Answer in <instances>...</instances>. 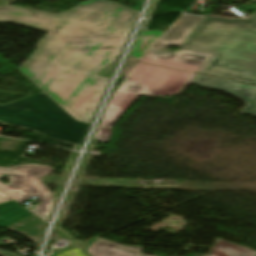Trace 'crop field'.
Masks as SVG:
<instances>
[{
	"label": "crop field",
	"mask_w": 256,
	"mask_h": 256,
	"mask_svg": "<svg viewBox=\"0 0 256 256\" xmlns=\"http://www.w3.org/2000/svg\"><path fill=\"white\" fill-rule=\"evenodd\" d=\"M138 12L107 0H89L59 14L0 7V23L48 32L18 68L62 108L118 58Z\"/></svg>",
	"instance_id": "crop-field-1"
},
{
	"label": "crop field",
	"mask_w": 256,
	"mask_h": 256,
	"mask_svg": "<svg viewBox=\"0 0 256 256\" xmlns=\"http://www.w3.org/2000/svg\"><path fill=\"white\" fill-rule=\"evenodd\" d=\"M180 48L214 55L200 73L256 84V13L246 20L205 17Z\"/></svg>",
	"instance_id": "crop-field-2"
},
{
	"label": "crop field",
	"mask_w": 256,
	"mask_h": 256,
	"mask_svg": "<svg viewBox=\"0 0 256 256\" xmlns=\"http://www.w3.org/2000/svg\"><path fill=\"white\" fill-rule=\"evenodd\" d=\"M0 123L79 140L83 139L89 125L75 121L43 92L0 105Z\"/></svg>",
	"instance_id": "crop-field-3"
},
{
	"label": "crop field",
	"mask_w": 256,
	"mask_h": 256,
	"mask_svg": "<svg viewBox=\"0 0 256 256\" xmlns=\"http://www.w3.org/2000/svg\"><path fill=\"white\" fill-rule=\"evenodd\" d=\"M193 75L138 63L113 93L100 125L112 127L138 96L177 95Z\"/></svg>",
	"instance_id": "crop-field-4"
},
{
	"label": "crop field",
	"mask_w": 256,
	"mask_h": 256,
	"mask_svg": "<svg viewBox=\"0 0 256 256\" xmlns=\"http://www.w3.org/2000/svg\"><path fill=\"white\" fill-rule=\"evenodd\" d=\"M53 171L54 169L50 166L40 164L19 165L12 168L0 167V179L2 173L11 176L10 182L6 185L0 181V190L18 203L36 196L42 203L34 207L47 220L53 207L52 193L39 179Z\"/></svg>",
	"instance_id": "crop-field-5"
},
{
	"label": "crop field",
	"mask_w": 256,
	"mask_h": 256,
	"mask_svg": "<svg viewBox=\"0 0 256 256\" xmlns=\"http://www.w3.org/2000/svg\"><path fill=\"white\" fill-rule=\"evenodd\" d=\"M212 56L184 49L168 53L150 49L139 62L198 72Z\"/></svg>",
	"instance_id": "crop-field-6"
},
{
	"label": "crop field",
	"mask_w": 256,
	"mask_h": 256,
	"mask_svg": "<svg viewBox=\"0 0 256 256\" xmlns=\"http://www.w3.org/2000/svg\"><path fill=\"white\" fill-rule=\"evenodd\" d=\"M109 81V79L96 75L65 111L75 120L89 123Z\"/></svg>",
	"instance_id": "crop-field-7"
},
{
	"label": "crop field",
	"mask_w": 256,
	"mask_h": 256,
	"mask_svg": "<svg viewBox=\"0 0 256 256\" xmlns=\"http://www.w3.org/2000/svg\"><path fill=\"white\" fill-rule=\"evenodd\" d=\"M190 83H193L202 87L220 89L222 91L235 95L247 103L240 113L256 115V96L252 100H250L234 92V89L240 88V87H245L249 89L253 88L250 85L242 84V83L227 80V79L200 75V74H196Z\"/></svg>",
	"instance_id": "crop-field-8"
},
{
	"label": "crop field",
	"mask_w": 256,
	"mask_h": 256,
	"mask_svg": "<svg viewBox=\"0 0 256 256\" xmlns=\"http://www.w3.org/2000/svg\"><path fill=\"white\" fill-rule=\"evenodd\" d=\"M204 17L183 14L176 24L159 40L154 48L179 47Z\"/></svg>",
	"instance_id": "crop-field-9"
},
{
	"label": "crop field",
	"mask_w": 256,
	"mask_h": 256,
	"mask_svg": "<svg viewBox=\"0 0 256 256\" xmlns=\"http://www.w3.org/2000/svg\"><path fill=\"white\" fill-rule=\"evenodd\" d=\"M97 240H104V239H100V238L94 239V240L89 242L88 246L91 245L94 241H97ZM108 242H110V241H108ZM111 243H113V242H111ZM125 247L139 250L140 251V256H148V255H141L142 248L129 247V246H125ZM83 252H85V250H83ZM209 256H256V252L252 251V250H249L247 248L235 245L233 243L227 242L225 240L217 239L213 248H212V250H211V252H210V254H209Z\"/></svg>",
	"instance_id": "crop-field-10"
},
{
	"label": "crop field",
	"mask_w": 256,
	"mask_h": 256,
	"mask_svg": "<svg viewBox=\"0 0 256 256\" xmlns=\"http://www.w3.org/2000/svg\"><path fill=\"white\" fill-rule=\"evenodd\" d=\"M46 223L33 215L21 222H18L6 229L18 232L36 244H40Z\"/></svg>",
	"instance_id": "crop-field-11"
},
{
	"label": "crop field",
	"mask_w": 256,
	"mask_h": 256,
	"mask_svg": "<svg viewBox=\"0 0 256 256\" xmlns=\"http://www.w3.org/2000/svg\"><path fill=\"white\" fill-rule=\"evenodd\" d=\"M90 256H139V252L122 246L97 241L86 249Z\"/></svg>",
	"instance_id": "crop-field-12"
},
{
	"label": "crop field",
	"mask_w": 256,
	"mask_h": 256,
	"mask_svg": "<svg viewBox=\"0 0 256 256\" xmlns=\"http://www.w3.org/2000/svg\"><path fill=\"white\" fill-rule=\"evenodd\" d=\"M33 215L24 208H20L18 203L11 200L0 205V227L6 228L18 221Z\"/></svg>",
	"instance_id": "crop-field-13"
},
{
	"label": "crop field",
	"mask_w": 256,
	"mask_h": 256,
	"mask_svg": "<svg viewBox=\"0 0 256 256\" xmlns=\"http://www.w3.org/2000/svg\"><path fill=\"white\" fill-rule=\"evenodd\" d=\"M162 34L160 31H140L130 55L140 60Z\"/></svg>",
	"instance_id": "crop-field-14"
},
{
	"label": "crop field",
	"mask_w": 256,
	"mask_h": 256,
	"mask_svg": "<svg viewBox=\"0 0 256 256\" xmlns=\"http://www.w3.org/2000/svg\"><path fill=\"white\" fill-rule=\"evenodd\" d=\"M111 132H112L111 128L99 126V128L96 132V138L98 141L104 143V142L108 141V139L110 138Z\"/></svg>",
	"instance_id": "crop-field-15"
},
{
	"label": "crop field",
	"mask_w": 256,
	"mask_h": 256,
	"mask_svg": "<svg viewBox=\"0 0 256 256\" xmlns=\"http://www.w3.org/2000/svg\"><path fill=\"white\" fill-rule=\"evenodd\" d=\"M39 135H41L45 138H48V139H53V140L61 141V142H64V143H68V144L73 145V146H79L80 142H81L79 140L61 138V137H56V136H50V135H44V134H39Z\"/></svg>",
	"instance_id": "crop-field-16"
},
{
	"label": "crop field",
	"mask_w": 256,
	"mask_h": 256,
	"mask_svg": "<svg viewBox=\"0 0 256 256\" xmlns=\"http://www.w3.org/2000/svg\"><path fill=\"white\" fill-rule=\"evenodd\" d=\"M55 256H86L77 247H74L68 251L56 252Z\"/></svg>",
	"instance_id": "crop-field-17"
},
{
	"label": "crop field",
	"mask_w": 256,
	"mask_h": 256,
	"mask_svg": "<svg viewBox=\"0 0 256 256\" xmlns=\"http://www.w3.org/2000/svg\"><path fill=\"white\" fill-rule=\"evenodd\" d=\"M137 64V60L128 56L123 71L120 76L125 77L126 74Z\"/></svg>",
	"instance_id": "crop-field-18"
},
{
	"label": "crop field",
	"mask_w": 256,
	"mask_h": 256,
	"mask_svg": "<svg viewBox=\"0 0 256 256\" xmlns=\"http://www.w3.org/2000/svg\"><path fill=\"white\" fill-rule=\"evenodd\" d=\"M254 87L255 88L252 89V90L241 88V89L235 90V92H237L239 94H242L244 96H247V97L252 99L256 95V86H254Z\"/></svg>",
	"instance_id": "crop-field-19"
},
{
	"label": "crop field",
	"mask_w": 256,
	"mask_h": 256,
	"mask_svg": "<svg viewBox=\"0 0 256 256\" xmlns=\"http://www.w3.org/2000/svg\"><path fill=\"white\" fill-rule=\"evenodd\" d=\"M8 200L11 199L0 191V203L6 202Z\"/></svg>",
	"instance_id": "crop-field-20"
},
{
	"label": "crop field",
	"mask_w": 256,
	"mask_h": 256,
	"mask_svg": "<svg viewBox=\"0 0 256 256\" xmlns=\"http://www.w3.org/2000/svg\"><path fill=\"white\" fill-rule=\"evenodd\" d=\"M117 64V60L114 61L112 64H110L108 67H106L104 70L108 71V72H111L114 70L115 66Z\"/></svg>",
	"instance_id": "crop-field-21"
},
{
	"label": "crop field",
	"mask_w": 256,
	"mask_h": 256,
	"mask_svg": "<svg viewBox=\"0 0 256 256\" xmlns=\"http://www.w3.org/2000/svg\"><path fill=\"white\" fill-rule=\"evenodd\" d=\"M0 256H17V255H13V254H9V253H5V252L0 251Z\"/></svg>",
	"instance_id": "crop-field-22"
},
{
	"label": "crop field",
	"mask_w": 256,
	"mask_h": 256,
	"mask_svg": "<svg viewBox=\"0 0 256 256\" xmlns=\"http://www.w3.org/2000/svg\"><path fill=\"white\" fill-rule=\"evenodd\" d=\"M29 211H31L32 213H34L35 215H37V216H38V214H37L34 210L29 209ZM38 217H39V216H38Z\"/></svg>",
	"instance_id": "crop-field-23"
}]
</instances>
